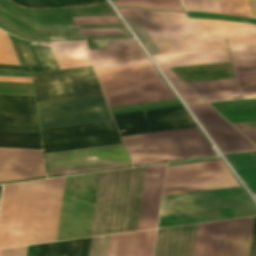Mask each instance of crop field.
Listing matches in <instances>:
<instances>
[{"mask_svg":"<svg viewBox=\"0 0 256 256\" xmlns=\"http://www.w3.org/2000/svg\"><path fill=\"white\" fill-rule=\"evenodd\" d=\"M64 180L3 185L0 248L55 241Z\"/></svg>","mask_w":256,"mask_h":256,"instance_id":"crop-field-1","label":"crop field"},{"mask_svg":"<svg viewBox=\"0 0 256 256\" xmlns=\"http://www.w3.org/2000/svg\"><path fill=\"white\" fill-rule=\"evenodd\" d=\"M180 53L155 55L161 70L231 62L225 38L256 37V25L188 19L186 13L156 11Z\"/></svg>","mask_w":256,"mask_h":256,"instance_id":"crop-field-2","label":"crop field"},{"mask_svg":"<svg viewBox=\"0 0 256 256\" xmlns=\"http://www.w3.org/2000/svg\"><path fill=\"white\" fill-rule=\"evenodd\" d=\"M145 170L100 173L90 237L137 230Z\"/></svg>","mask_w":256,"mask_h":256,"instance_id":"crop-field-3","label":"crop field"},{"mask_svg":"<svg viewBox=\"0 0 256 256\" xmlns=\"http://www.w3.org/2000/svg\"><path fill=\"white\" fill-rule=\"evenodd\" d=\"M92 67L109 107L175 98L149 59Z\"/></svg>","mask_w":256,"mask_h":256,"instance_id":"crop-field-4","label":"crop field"},{"mask_svg":"<svg viewBox=\"0 0 256 256\" xmlns=\"http://www.w3.org/2000/svg\"><path fill=\"white\" fill-rule=\"evenodd\" d=\"M121 138L134 166L216 155L197 128Z\"/></svg>","mask_w":256,"mask_h":256,"instance_id":"crop-field-5","label":"crop field"},{"mask_svg":"<svg viewBox=\"0 0 256 256\" xmlns=\"http://www.w3.org/2000/svg\"><path fill=\"white\" fill-rule=\"evenodd\" d=\"M0 27L25 39L84 40L67 9L27 10L0 0Z\"/></svg>","mask_w":256,"mask_h":256,"instance_id":"crop-field-6","label":"crop field"},{"mask_svg":"<svg viewBox=\"0 0 256 256\" xmlns=\"http://www.w3.org/2000/svg\"><path fill=\"white\" fill-rule=\"evenodd\" d=\"M163 72L222 153L256 150L251 142L250 144L171 70Z\"/></svg>","mask_w":256,"mask_h":256,"instance_id":"crop-field-7","label":"crop field"},{"mask_svg":"<svg viewBox=\"0 0 256 256\" xmlns=\"http://www.w3.org/2000/svg\"><path fill=\"white\" fill-rule=\"evenodd\" d=\"M221 160L167 167L163 196L236 187Z\"/></svg>","mask_w":256,"mask_h":256,"instance_id":"crop-field-8","label":"crop field"},{"mask_svg":"<svg viewBox=\"0 0 256 256\" xmlns=\"http://www.w3.org/2000/svg\"><path fill=\"white\" fill-rule=\"evenodd\" d=\"M36 102L102 94L90 67L33 74Z\"/></svg>","mask_w":256,"mask_h":256,"instance_id":"crop-field-9","label":"crop field"},{"mask_svg":"<svg viewBox=\"0 0 256 256\" xmlns=\"http://www.w3.org/2000/svg\"><path fill=\"white\" fill-rule=\"evenodd\" d=\"M41 129L112 120L102 95L37 104Z\"/></svg>","mask_w":256,"mask_h":256,"instance_id":"crop-field-10","label":"crop field"},{"mask_svg":"<svg viewBox=\"0 0 256 256\" xmlns=\"http://www.w3.org/2000/svg\"><path fill=\"white\" fill-rule=\"evenodd\" d=\"M46 158L49 174L57 172V174L47 175V177L131 166L127 165L72 173H65L64 169H60L65 168L66 172H70L130 164L122 144L48 153L46 154ZM55 169L60 170H56L55 172Z\"/></svg>","mask_w":256,"mask_h":256,"instance_id":"crop-field-11","label":"crop field"},{"mask_svg":"<svg viewBox=\"0 0 256 256\" xmlns=\"http://www.w3.org/2000/svg\"><path fill=\"white\" fill-rule=\"evenodd\" d=\"M251 205L240 187L166 196L162 199L160 217Z\"/></svg>","mask_w":256,"mask_h":256,"instance_id":"crop-field-12","label":"crop field"},{"mask_svg":"<svg viewBox=\"0 0 256 256\" xmlns=\"http://www.w3.org/2000/svg\"><path fill=\"white\" fill-rule=\"evenodd\" d=\"M120 136L195 127L182 106L112 115Z\"/></svg>","mask_w":256,"mask_h":256,"instance_id":"crop-field-13","label":"crop field"},{"mask_svg":"<svg viewBox=\"0 0 256 256\" xmlns=\"http://www.w3.org/2000/svg\"><path fill=\"white\" fill-rule=\"evenodd\" d=\"M44 150L121 140L112 121L41 130Z\"/></svg>","mask_w":256,"mask_h":256,"instance_id":"crop-field-14","label":"crop field"},{"mask_svg":"<svg viewBox=\"0 0 256 256\" xmlns=\"http://www.w3.org/2000/svg\"><path fill=\"white\" fill-rule=\"evenodd\" d=\"M0 131L39 133L34 96L0 95Z\"/></svg>","mask_w":256,"mask_h":256,"instance_id":"crop-field-15","label":"crop field"},{"mask_svg":"<svg viewBox=\"0 0 256 256\" xmlns=\"http://www.w3.org/2000/svg\"><path fill=\"white\" fill-rule=\"evenodd\" d=\"M41 156L40 152L0 150V165L37 161L41 160ZM43 176H45L43 161L0 166V182Z\"/></svg>","mask_w":256,"mask_h":256,"instance_id":"crop-field-16","label":"crop field"},{"mask_svg":"<svg viewBox=\"0 0 256 256\" xmlns=\"http://www.w3.org/2000/svg\"><path fill=\"white\" fill-rule=\"evenodd\" d=\"M164 168L147 167L138 230L156 228Z\"/></svg>","mask_w":256,"mask_h":256,"instance_id":"crop-field-17","label":"crop field"},{"mask_svg":"<svg viewBox=\"0 0 256 256\" xmlns=\"http://www.w3.org/2000/svg\"><path fill=\"white\" fill-rule=\"evenodd\" d=\"M197 225L158 230L154 256H193Z\"/></svg>","mask_w":256,"mask_h":256,"instance_id":"crop-field-18","label":"crop field"},{"mask_svg":"<svg viewBox=\"0 0 256 256\" xmlns=\"http://www.w3.org/2000/svg\"><path fill=\"white\" fill-rule=\"evenodd\" d=\"M156 230L134 233L131 256H152ZM132 233L110 236L107 256H129Z\"/></svg>","mask_w":256,"mask_h":256,"instance_id":"crop-field-19","label":"crop field"},{"mask_svg":"<svg viewBox=\"0 0 256 256\" xmlns=\"http://www.w3.org/2000/svg\"><path fill=\"white\" fill-rule=\"evenodd\" d=\"M248 216H256L255 206L187 214V215H179V216H171V217H163V218H160L159 220L158 228L209 222V221H217V220H225V219H232V218H240V217H248Z\"/></svg>","mask_w":256,"mask_h":256,"instance_id":"crop-field-20","label":"crop field"},{"mask_svg":"<svg viewBox=\"0 0 256 256\" xmlns=\"http://www.w3.org/2000/svg\"><path fill=\"white\" fill-rule=\"evenodd\" d=\"M253 220L228 221L223 256H249Z\"/></svg>","mask_w":256,"mask_h":256,"instance_id":"crop-field-21","label":"crop field"},{"mask_svg":"<svg viewBox=\"0 0 256 256\" xmlns=\"http://www.w3.org/2000/svg\"><path fill=\"white\" fill-rule=\"evenodd\" d=\"M227 221L198 225L194 256H222Z\"/></svg>","mask_w":256,"mask_h":256,"instance_id":"crop-field-22","label":"crop field"},{"mask_svg":"<svg viewBox=\"0 0 256 256\" xmlns=\"http://www.w3.org/2000/svg\"><path fill=\"white\" fill-rule=\"evenodd\" d=\"M160 54L178 52L155 11L135 9Z\"/></svg>","mask_w":256,"mask_h":256,"instance_id":"crop-field-23","label":"crop field"},{"mask_svg":"<svg viewBox=\"0 0 256 256\" xmlns=\"http://www.w3.org/2000/svg\"><path fill=\"white\" fill-rule=\"evenodd\" d=\"M188 85L209 102L240 99L235 79Z\"/></svg>","mask_w":256,"mask_h":256,"instance_id":"crop-field-24","label":"crop field"},{"mask_svg":"<svg viewBox=\"0 0 256 256\" xmlns=\"http://www.w3.org/2000/svg\"><path fill=\"white\" fill-rule=\"evenodd\" d=\"M90 238L39 245L38 256H88Z\"/></svg>","mask_w":256,"mask_h":256,"instance_id":"crop-field-25","label":"crop field"},{"mask_svg":"<svg viewBox=\"0 0 256 256\" xmlns=\"http://www.w3.org/2000/svg\"><path fill=\"white\" fill-rule=\"evenodd\" d=\"M227 40L235 68L256 66V38Z\"/></svg>","mask_w":256,"mask_h":256,"instance_id":"crop-field-26","label":"crop field"},{"mask_svg":"<svg viewBox=\"0 0 256 256\" xmlns=\"http://www.w3.org/2000/svg\"><path fill=\"white\" fill-rule=\"evenodd\" d=\"M14 3L32 9L80 7L103 3L105 0H12Z\"/></svg>","mask_w":256,"mask_h":256,"instance_id":"crop-field-27","label":"crop field"},{"mask_svg":"<svg viewBox=\"0 0 256 256\" xmlns=\"http://www.w3.org/2000/svg\"><path fill=\"white\" fill-rule=\"evenodd\" d=\"M0 147L41 149L39 134L0 132Z\"/></svg>","mask_w":256,"mask_h":256,"instance_id":"crop-field-28","label":"crop field"},{"mask_svg":"<svg viewBox=\"0 0 256 256\" xmlns=\"http://www.w3.org/2000/svg\"><path fill=\"white\" fill-rule=\"evenodd\" d=\"M113 3L116 7H140L184 11L179 0H116Z\"/></svg>","mask_w":256,"mask_h":256,"instance_id":"crop-field-29","label":"crop field"},{"mask_svg":"<svg viewBox=\"0 0 256 256\" xmlns=\"http://www.w3.org/2000/svg\"><path fill=\"white\" fill-rule=\"evenodd\" d=\"M242 98H256V67L235 69Z\"/></svg>","mask_w":256,"mask_h":256,"instance_id":"crop-field-30","label":"crop field"},{"mask_svg":"<svg viewBox=\"0 0 256 256\" xmlns=\"http://www.w3.org/2000/svg\"><path fill=\"white\" fill-rule=\"evenodd\" d=\"M29 43L43 72L60 70L48 43Z\"/></svg>","mask_w":256,"mask_h":256,"instance_id":"crop-field-31","label":"crop field"},{"mask_svg":"<svg viewBox=\"0 0 256 256\" xmlns=\"http://www.w3.org/2000/svg\"><path fill=\"white\" fill-rule=\"evenodd\" d=\"M7 35L10 39V42L13 46V49L17 55L20 64L40 68L29 43L8 33Z\"/></svg>","mask_w":256,"mask_h":256,"instance_id":"crop-field-32","label":"crop field"},{"mask_svg":"<svg viewBox=\"0 0 256 256\" xmlns=\"http://www.w3.org/2000/svg\"><path fill=\"white\" fill-rule=\"evenodd\" d=\"M150 55L159 54L138 17H124Z\"/></svg>","mask_w":256,"mask_h":256,"instance_id":"crop-field-33","label":"crop field"},{"mask_svg":"<svg viewBox=\"0 0 256 256\" xmlns=\"http://www.w3.org/2000/svg\"><path fill=\"white\" fill-rule=\"evenodd\" d=\"M187 12L219 13L218 0H181Z\"/></svg>","mask_w":256,"mask_h":256,"instance_id":"crop-field-34","label":"crop field"},{"mask_svg":"<svg viewBox=\"0 0 256 256\" xmlns=\"http://www.w3.org/2000/svg\"><path fill=\"white\" fill-rule=\"evenodd\" d=\"M223 15L250 17L245 0H219Z\"/></svg>","mask_w":256,"mask_h":256,"instance_id":"crop-field-35","label":"crop field"},{"mask_svg":"<svg viewBox=\"0 0 256 256\" xmlns=\"http://www.w3.org/2000/svg\"><path fill=\"white\" fill-rule=\"evenodd\" d=\"M72 17L116 16L109 5L68 9Z\"/></svg>","mask_w":256,"mask_h":256,"instance_id":"crop-field-36","label":"crop field"},{"mask_svg":"<svg viewBox=\"0 0 256 256\" xmlns=\"http://www.w3.org/2000/svg\"><path fill=\"white\" fill-rule=\"evenodd\" d=\"M234 170L256 168V153L225 156Z\"/></svg>","mask_w":256,"mask_h":256,"instance_id":"crop-field-37","label":"crop field"},{"mask_svg":"<svg viewBox=\"0 0 256 256\" xmlns=\"http://www.w3.org/2000/svg\"><path fill=\"white\" fill-rule=\"evenodd\" d=\"M109 236L91 238L89 256H106Z\"/></svg>","mask_w":256,"mask_h":256,"instance_id":"crop-field-38","label":"crop field"},{"mask_svg":"<svg viewBox=\"0 0 256 256\" xmlns=\"http://www.w3.org/2000/svg\"><path fill=\"white\" fill-rule=\"evenodd\" d=\"M176 103H178L177 99H173V100H165V101L150 102V103H143V104L112 107L109 109L111 112H114V111L130 110V109L153 107V106H160V105L176 104Z\"/></svg>","mask_w":256,"mask_h":256,"instance_id":"crop-field-39","label":"crop field"},{"mask_svg":"<svg viewBox=\"0 0 256 256\" xmlns=\"http://www.w3.org/2000/svg\"><path fill=\"white\" fill-rule=\"evenodd\" d=\"M77 24L121 23L117 17L74 18Z\"/></svg>","mask_w":256,"mask_h":256,"instance_id":"crop-field-40","label":"crop field"},{"mask_svg":"<svg viewBox=\"0 0 256 256\" xmlns=\"http://www.w3.org/2000/svg\"><path fill=\"white\" fill-rule=\"evenodd\" d=\"M237 129H239L249 140H251L256 145V123H246L243 124L245 129L252 130H244L241 124L234 125Z\"/></svg>","mask_w":256,"mask_h":256,"instance_id":"crop-field-41","label":"crop field"},{"mask_svg":"<svg viewBox=\"0 0 256 256\" xmlns=\"http://www.w3.org/2000/svg\"><path fill=\"white\" fill-rule=\"evenodd\" d=\"M26 249H27V246L6 249L3 252V256H26Z\"/></svg>","mask_w":256,"mask_h":256,"instance_id":"crop-field-42","label":"crop field"},{"mask_svg":"<svg viewBox=\"0 0 256 256\" xmlns=\"http://www.w3.org/2000/svg\"><path fill=\"white\" fill-rule=\"evenodd\" d=\"M119 143H122V142L118 141V142H110V143H102V144H95V145L71 147V148H64V149L48 150V151H44V153L55 152V151H63V150H71V149H79V148H87V147H95V146H103V145H111V144H119Z\"/></svg>","mask_w":256,"mask_h":256,"instance_id":"crop-field-43","label":"crop field"},{"mask_svg":"<svg viewBox=\"0 0 256 256\" xmlns=\"http://www.w3.org/2000/svg\"><path fill=\"white\" fill-rule=\"evenodd\" d=\"M0 81L32 83L31 78H20V77H0Z\"/></svg>","mask_w":256,"mask_h":256,"instance_id":"crop-field-44","label":"crop field"},{"mask_svg":"<svg viewBox=\"0 0 256 256\" xmlns=\"http://www.w3.org/2000/svg\"><path fill=\"white\" fill-rule=\"evenodd\" d=\"M250 256H256V217H255V220H254Z\"/></svg>","mask_w":256,"mask_h":256,"instance_id":"crop-field-45","label":"crop field"},{"mask_svg":"<svg viewBox=\"0 0 256 256\" xmlns=\"http://www.w3.org/2000/svg\"><path fill=\"white\" fill-rule=\"evenodd\" d=\"M0 70L30 71V67H25V66H12V65H0Z\"/></svg>","mask_w":256,"mask_h":256,"instance_id":"crop-field-46","label":"crop field"},{"mask_svg":"<svg viewBox=\"0 0 256 256\" xmlns=\"http://www.w3.org/2000/svg\"><path fill=\"white\" fill-rule=\"evenodd\" d=\"M247 4L250 10L252 18H256V0H247Z\"/></svg>","mask_w":256,"mask_h":256,"instance_id":"crop-field-47","label":"crop field"},{"mask_svg":"<svg viewBox=\"0 0 256 256\" xmlns=\"http://www.w3.org/2000/svg\"><path fill=\"white\" fill-rule=\"evenodd\" d=\"M122 16H137L134 9H118Z\"/></svg>","mask_w":256,"mask_h":256,"instance_id":"crop-field-48","label":"crop field"},{"mask_svg":"<svg viewBox=\"0 0 256 256\" xmlns=\"http://www.w3.org/2000/svg\"><path fill=\"white\" fill-rule=\"evenodd\" d=\"M38 245L28 246L27 256H37Z\"/></svg>","mask_w":256,"mask_h":256,"instance_id":"crop-field-49","label":"crop field"},{"mask_svg":"<svg viewBox=\"0 0 256 256\" xmlns=\"http://www.w3.org/2000/svg\"><path fill=\"white\" fill-rule=\"evenodd\" d=\"M220 158H213V159H205V160H197V161H189V162H181V163H173V164H167V166L170 165H178V164H186V163H193V162H201V161H209V160H217Z\"/></svg>","mask_w":256,"mask_h":256,"instance_id":"crop-field-50","label":"crop field"},{"mask_svg":"<svg viewBox=\"0 0 256 256\" xmlns=\"http://www.w3.org/2000/svg\"><path fill=\"white\" fill-rule=\"evenodd\" d=\"M2 252H3V250H0V256H2Z\"/></svg>","mask_w":256,"mask_h":256,"instance_id":"crop-field-51","label":"crop field"},{"mask_svg":"<svg viewBox=\"0 0 256 256\" xmlns=\"http://www.w3.org/2000/svg\"><path fill=\"white\" fill-rule=\"evenodd\" d=\"M256 197V195H254Z\"/></svg>","mask_w":256,"mask_h":256,"instance_id":"crop-field-52","label":"crop field"},{"mask_svg":"<svg viewBox=\"0 0 256 256\" xmlns=\"http://www.w3.org/2000/svg\"><path fill=\"white\" fill-rule=\"evenodd\" d=\"M0 189H1V186H0Z\"/></svg>","mask_w":256,"mask_h":256,"instance_id":"crop-field-53","label":"crop field"}]
</instances>
